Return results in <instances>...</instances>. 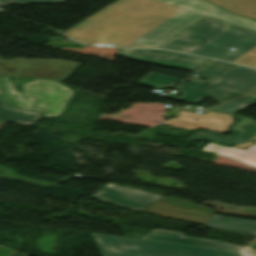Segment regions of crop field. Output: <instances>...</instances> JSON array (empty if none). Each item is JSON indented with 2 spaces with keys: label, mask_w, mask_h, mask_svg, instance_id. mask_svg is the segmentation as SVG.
<instances>
[{
  "label": "crop field",
  "mask_w": 256,
  "mask_h": 256,
  "mask_svg": "<svg viewBox=\"0 0 256 256\" xmlns=\"http://www.w3.org/2000/svg\"><path fill=\"white\" fill-rule=\"evenodd\" d=\"M92 235L103 256H240L234 251Z\"/></svg>",
  "instance_id": "1"
},
{
  "label": "crop field",
  "mask_w": 256,
  "mask_h": 256,
  "mask_svg": "<svg viewBox=\"0 0 256 256\" xmlns=\"http://www.w3.org/2000/svg\"><path fill=\"white\" fill-rule=\"evenodd\" d=\"M156 1L187 9L189 11L165 26L163 29H161L139 45L158 47L204 15L256 31V21L240 15L226 12L221 8L211 5L204 0Z\"/></svg>",
  "instance_id": "2"
},
{
  "label": "crop field",
  "mask_w": 256,
  "mask_h": 256,
  "mask_svg": "<svg viewBox=\"0 0 256 256\" xmlns=\"http://www.w3.org/2000/svg\"><path fill=\"white\" fill-rule=\"evenodd\" d=\"M0 85L9 102L16 108L32 110L33 105L43 109L46 117L59 116L64 111L73 90L50 80H37L22 85V92L27 96H37L36 101H24L21 94L16 92L8 77L0 78Z\"/></svg>",
  "instance_id": "3"
},
{
  "label": "crop field",
  "mask_w": 256,
  "mask_h": 256,
  "mask_svg": "<svg viewBox=\"0 0 256 256\" xmlns=\"http://www.w3.org/2000/svg\"><path fill=\"white\" fill-rule=\"evenodd\" d=\"M256 46V32L238 26H231L192 54L232 61ZM234 50H229L230 48Z\"/></svg>",
  "instance_id": "4"
},
{
  "label": "crop field",
  "mask_w": 256,
  "mask_h": 256,
  "mask_svg": "<svg viewBox=\"0 0 256 256\" xmlns=\"http://www.w3.org/2000/svg\"><path fill=\"white\" fill-rule=\"evenodd\" d=\"M116 55L145 63L164 67L179 68L192 72L196 71L210 61V59L187 56L164 50L121 48Z\"/></svg>",
  "instance_id": "5"
},
{
  "label": "crop field",
  "mask_w": 256,
  "mask_h": 256,
  "mask_svg": "<svg viewBox=\"0 0 256 256\" xmlns=\"http://www.w3.org/2000/svg\"><path fill=\"white\" fill-rule=\"evenodd\" d=\"M161 197L163 196L111 183L91 196L100 202L136 212H143L150 203Z\"/></svg>",
  "instance_id": "6"
},
{
  "label": "crop field",
  "mask_w": 256,
  "mask_h": 256,
  "mask_svg": "<svg viewBox=\"0 0 256 256\" xmlns=\"http://www.w3.org/2000/svg\"><path fill=\"white\" fill-rule=\"evenodd\" d=\"M53 63H56L54 65ZM81 64L65 60L29 59L19 70L0 67V76L20 75L50 78L64 82Z\"/></svg>",
  "instance_id": "7"
},
{
  "label": "crop field",
  "mask_w": 256,
  "mask_h": 256,
  "mask_svg": "<svg viewBox=\"0 0 256 256\" xmlns=\"http://www.w3.org/2000/svg\"><path fill=\"white\" fill-rule=\"evenodd\" d=\"M195 119H199L200 121H194ZM232 119L228 115L210 112L200 115L180 111V115L177 118H169L162 125L184 129L205 128L217 132H224L228 130V125L232 123Z\"/></svg>",
  "instance_id": "8"
},
{
  "label": "crop field",
  "mask_w": 256,
  "mask_h": 256,
  "mask_svg": "<svg viewBox=\"0 0 256 256\" xmlns=\"http://www.w3.org/2000/svg\"><path fill=\"white\" fill-rule=\"evenodd\" d=\"M175 90L181 92L182 95L178 98L169 97V96H166V97L184 100V101H188L196 104H199L207 97H212L218 103H223L228 100L244 95L236 92H231L223 89H218V88L186 82V81L182 82L179 86H177ZM208 92H210L211 94H209Z\"/></svg>",
  "instance_id": "9"
},
{
  "label": "crop field",
  "mask_w": 256,
  "mask_h": 256,
  "mask_svg": "<svg viewBox=\"0 0 256 256\" xmlns=\"http://www.w3.org/2000/svg\"><path fill=\"white\" fill-rule=\"evenodd\" d=\"M210 86L248 94L256 91V71L238 66Z\"/></svg>",
  "instance_id": "10"
},
{
  "label": "crop field",
  "mask_w": 256,
  "mask_h": 256,
  "mask_svg": "<svg viewBox=\"0 0 256 256\" xmlns=\"http://www.w3.org/2000/svg\"><path fill=\"white\" fill-rule=\"evenodd\" d=\"M141 239L187 244V245H195V246H203V247H211V248L234 250V251H238L242 248L238 245L231 244V243L190 238V237H185L184 234H182V233H178V232H174V231L160 230V229H154L153 231L147 233Z\"/></svg>",
  "instance_id": "11"
},
{
  "label": "crop field",
  "mask_w": 256,
  "mask_h": 256,
  "mask_svg": "<svg viewBox=\"0 0 256 256\" xmlns=\"http://www.w3.org/2000/svg\"><path fill=\"white\" fill-rule=\"evenodd\" d=\"M232 127L240 131L241 134L225 137L217 133L204 131L203 133L194 134L187 139L206 140L224 145H232L256 138V123L240 118Z\"/></svg>",
  "instance_id": "12"
},
{
  "label": "crop field",
  "mask_w": 256,
  "mask_h": 256,
  "mask_svg": "<svg viewBox=\"0 0 256 256\" xmlns=\"http://www.w3.org/2000/svg\"><path fill=\"white\" fill-rule=\"evenodd\" d=\"M231 25L232 24L204 16L177 36L205 43Z\"/></svg>",
  "instance_id": "13"
},
{
  "label": "crop field",
  "mask_w": 256,
  "mask_h": 256,
  "mask_svg": "<svg viewBox=\"0 0 256 256\" xmlns=\"http://www.w3.org/2000/svg\"><path fill=\"white\" fill-rule=\"evenodd\" d=\"M205 227L256 235V222L213 215Z\"/></svg>",
  "instance_id": "14"
},
{
  "label": "crop field",
  "mask_w": 256,
  "mask_h": 256,
  "mask_svg": "<svg viewBox=\"0 0 256 256\" xmlns=\"http://www.w3.org/2000/svg\"><path fill=\"white\" fill-rule=\"evenodd\" d=\"M201 150L227 156V157H232L256 168V143H254L247 150H242L234 147L228 148V147L208 143Z\"/></svg>",
  "instance_id": "15"
},
{
  "label": "crop field",
  "mask_w": 256,
  "mask_h": 256,
  "mask_svg": "<svg viewBox=\"0 0 256 256\" xmlns=\"http://www.w3.org/2000/svg\"><path fill=\"white\" fill-rule=\"evenodd\" d=\"M42 117L39 113L12 109L5 106V100L0 92V120L31 125Z\"/></svg>",
  "instance_id": "16"
},
{
  "label": "crop field",
  "mask_w": 256,
  "mask_h": 256,
  "mask_svg": "<svg viewBox=\"0 0 256 256\" xmlns=\"http://www.w3.org/2000/svg\"><path fill=\"white\" fill-rule=\"evenodd\" d=\"M235 67L236 65L214 61L196 72L197 74L204 76L207 79L206 81L191 77H189L187 81L208 85Z\"/></svg>",
  "instance_id": "17"
},
{
  "label": "crop field",
  "mask_w": 256,
  "mask_h": 256,
  "mask_svg": "<svg viewBox=\"0 0 256 256\" xmlns=\"http://www.w3.org/2000/svg\"><path fill=\"white\" fill-rule=\"evenodd\" d=\"M179 81H181V79L150 72L142 80H140L139 83L143 85H147L149 87L172 88ZM167 84H170V85L167 87L166 86Z\"/></svg>",
  "instance_id": "18"
},
{
  "label": "crop field",
  "mask_w": 256,
  "mask_h": 256,
  "mask_svg": "<svg viewBox=\"0 0 256 256\" xmlns=\"http://www.w3.org/2000/svg\"><path fill=\"white\" fill-rule=\"evenodd\" d=\"M201 45L202 43L174 37L160 47L190 53Z\"/></svg>",
  "instance_id": "19"
},
{
  "label": "crop field",
  "mask_w": 256,
  "mask_h": 256,
  "mask_svg": "<svg viewBox=\"0 0 256 256\" xmlns=\"http://www.w3.org/2000/svg\"><path fill=\"white\" fill-rule=\"evenodd\" d=\"M255 103L256 101L240 98L209 110L232 114L236 109H245Z\"/></svg>",
  "instance_id": "20"
},
{
  "label": "crop field",
  "mask_w": 256,
  "mask_h": 256,
  "mask_svg": "<svg viewBox=\"0 0 256 256\" xmlns=\"http://www.w3.org/2000/svg\"><path fill=\"white\" fill-rule=\"evenodd\" d=\"M67 0H2L0 4L7 3H64Z\"/></svg>",
  "instance_id": "21"
},
{
  "label": "crop field",
  "mask_w": 256,
  "mask_h": 256,
  "mask_svg": "<svg viewBox=\"0 0 256 256\" xmlns=\"http://www.w3.org/2000/svg\"><path fill=\"white\" fill-rule=\"evenodd\" d=\"M28 59H13L6 61L0 58V66L19 69Z\"/></svg>",
  "instance_id": "22"
},
{
  "label": "crop field",
  "mask_w": 256,
  "mask_h": 256,
  "mask_svg": "<svg viewBox=\"0 0 256 256\" xmlns=\"http://www.w3.org/2000/svg\"><path fill=\"white\" fill-rule=\"evenodd\" d=\"M239 252H240L241 256H256V252H253L246 248H242Z\"/></svg>",
  "instance_id": "23"
},
{
  "label": "crop field",
  "mask_w": 256,
  "mask_h": 256,
  "mask_svg": "<svg viewBox=\"0 0 256 256\" xmlns=\"http://www.w3.org/2000/svg\"><path fill=\"white\" fill-rule=\"evenodd\" d=\"M253 143H254V141L248 142V143H245V144H242V145L234 146V147H238V148H242V149H247Z\"/></svg>",
  "instance_id": "24"
},
{
  "label": "crop field",
  "mask_w": 256,
  "mask_h": 256,
  "mask_svg": "<svg viewBox=\"0 0 256 256\" xmlns=\"http://www.w3.org/2000/svg\"><path fill=\"white\" fill-rule=\"evenodd\" d=\"M244 98H248V99L256 100V98H255V97H251V96H247V97H244Z\"/></svg>",
  "instance_id": "25"
},
{
  "label": "crop field",
  "mask_w": 256,
  "mask_h": 256,
  "mask_svg": "<svg viewBox=\"0 0 256 256\" xmlns=\"http://www.w3.org/2000/svg\"><path fill=\"white\" fill-rule=\"evenodd\" d=\"M6 122L0 121V128L5 124Z\"/></svg>",
  "instance_id": "26"
},
{
  "label": "crop field",
  "mask_w": 256,
  "mask_h": 256,
  "mask_svg": "<svg viewBox=\"0 0 256 256\" xmlns=\"http://www.w3.org/2000/svg\"><path fill=\"white\" fill-rule=\"evenodd\" d=\"M251 96H256V93L250 94Z\"/></svg>",
  "instance_id": "27"
}]
</instances>
